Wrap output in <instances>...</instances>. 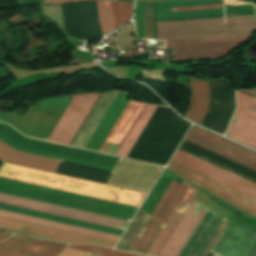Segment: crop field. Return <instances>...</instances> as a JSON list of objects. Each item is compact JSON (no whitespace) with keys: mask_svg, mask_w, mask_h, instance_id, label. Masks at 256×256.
<instances>
[{"mask_svg":"<svg viewBox=\"0 0 256 256\" xmlns=\"http://www.w3.org/2000/svg\"><path fill=\"white\" fill-rule=\"evenodd\" d=\"M226 3H246L225 0ZM223 0L157 1V12L178 10V6L216 4ZM225 3L226 16L256 14L251 3ZM223 4L186 6L179 10L222 8ZM224 16L223 9L157 13V21ZM256 15L204 18L157 22L158 39L173 40L209 36L253 33ZM251 34L167 41L166 47L176 48V60L223 57L227 52L248 40Z\"/></svg>","mask_w":256,"mask_h":256,"instance_id":"obj_1","label":"crop field"},{"mask_svg":"<svg viewBox=\"0 0 256 256\" xmlns=\"http://www.w3.org/2000/svg\"><path fill=\"white\" fill-rule=\"evenodd\" d=\"M0 176L139 207L145 193L4 163ZM0 177V192L130 221L136 207Z\"/></svg>","mask_w":256,"mask_h":256,"instance_id":"obj_2","label":"crop field"},{"mask_svg":"<svg viewBox=\"0 0 256 256\" xmlns=\"http://www.w3.org/2000/svg\"><path fill=\"white\" fill-rule=\"evenodd\" d=\"M0 139L24 152L115 172L121 159L60 145L28 139L9 125L0 124ZM0 140V159L55 172L59 160L20 152Z\"/></svg>","mask_w":256,"mask_h":256,"instance_id":"obj_3","label":"crop field"},{"mask_svg":"<svg viewBox=\"0 0 256 256\" xmlns=\"http://www.w3.org/2000/svg\"><path fill=\"white\" fill-rule=\"evenodd\" d=\"M188 187L189 186L183 182L181 185H179L171 181L162 198L153 210L152 217L167 221ZM197 191L198 190L190 185L189 189L187 190L186 194L182 198L181 202L177 206L176 210L166 225V221L151 218L150 214L140 209L136 218L118 245L117 249L130 251L131 247L133 246L134 242L136 241L137 237L139 236L140 232L150 217L149 221L147 222L146 226L132 247L131 252L146 255L149 248L160 233L161 229L165 225L162 232L147 253V255L150 256H157Z\"/></svg>","mask_w":256,"mask_h":256,"instance_id":"obj_4","label":"crop field"},{"mask_svg":"<svg viewBox=\"0 0 256 256\" xmlns=\"http://www.w3.org/2000/svg\"><path fill=\"white\" fill-rule=\"evenodd\" d=\"M194 199L158 256H178L207 208ZM220 217L207 208L179 256H200Z\"/></svg>","mask_w":256,"mask_h":256,"instance_id":"obj_5","label":"crop field"},{"mask_svg":"<svg viewBox=\"0 0 256 256\" xmlns=\"http://www.w3.org/2000/svg\"><path fill=\"white\" fill-rule=\"evenodd\" d=\"M0 210L18 213V214H22V215H27V216H31V217H36V218H40V219L50 220V221L68 224V225H72V226L82 227V228L100 231V232H104V233L114 234V235H118V236H121V234L123 233L122 230H118V229L108 228V227H104V226H99V225L90 224V223H86V222L76 221V220H72V219H67V218H63V217L44 214V213H40V212H35V211L12 207V206L3 205V204H0ZM4 211H0L1 216H6V217H10V218L19 219V220L29 221V222L47 225V226H51V227L61 228V229H65V230H70V231L88 234V235H92V236L102 237V238L111 239V240H115V241H118V239H119L118 236H114V235L104 234V233H100V232H95V231L86 230V229H82V228L72 227V226H68V225H63V224L54 223V222H50V221L40 220V219L31 218V217L22 216V215L13 214V213H8V212H4Z\"/></svg>","mask_w":256,"mask_h":256,"instance_id":"obj_6","label":"crop field"},{"mask_svg":"<svg viewBox=\"0 0 256 256\" xmlns=\"http://www.w3.org/2000/svg\"><path fill=\"white\" fill-rule=\"evenodd\" d=\"M185 140L256 171V153L223 137L192 126Z\"/></svg>","mask_w":256,"mask_h":256,"instance_id":"obj_7","label":"crop field"},{"mask_svg":"<svg viewBox=\"0 0 256 256\" xmlns=\"http://www.w3.org/2000/svg\"><path fill=\"white\" fill-rule=\"evenodd\" d=\"M100 95H74L48 140L70 144Z\"/></svg>","mask_w":256,"mask_h":256,"instance_id":"obj_8","label":"crop field"},{"mask_svg":"<svg viewBox=\"0 0 256 256\" xmlns=\"http://www.w3.org/2000/svg\"><path fill=\"white\" fill-rule=\"evenodd\" d=\"M0 203L125 230L128 222L0 193Z\"/></svg>","mask_w":256,"mask_h":256,"instance_id":"obj_9","label":"crop field"},{"mask_svg":"<svg viewBox=\"0 0 256 256\" xmlns=\"http://www.w3.org/2000/svg\"><path fill=\"white\" fill-rule=\"evenodd\" d=\"M221 199L256 215V199L170 161L168 167Z\"/></svg>","mask_w":256,"mask_h":256,"instance_id":"obj_10","label":"crop field"},{"mask_svg":"<svg viewBox=\"0 0 256 256\" xmlns=\"http://www.w3.org/2000/svg\"><path fill=\"white\" fill-rule=\"evenodd\" d=\"M0 228L67 242L71 244L79 243H97L110 248L116 244L115 241L106 240L102 238L92 237L61 229L51 228L29 222L19 221L0 216Z\"/></svg>","mask_w":256,"mask_h":256,"instance_id":"obj_11","label":"crop field"},{"mask_svg":"<svg viewBox=\"0 0 256 256\" xmlns=\"http://www.w3.org/2000/svg\"><path fill=\"white\" fill-rule=\"evenodd\" d=\"M172 161L256 198V184L177 149Z\"/></svg>","mask_w":256,"mask_h":256,"instance_id":"obj_12","label":"crop field"},{"mask_svg":"<svg viewBox=\"0 0 256 256\" xmlns=\"http://www.w3.org/2000/svg\"><path fill=\"white\" fill-rule=\"evenodd\" d=\"M66 244L13 235L0 243V256H58Z\"/></svg>","mask_w":256,"mask_h":256,"instance_id":"obj_13","label":"crop field"},{"mask_svg":"<svg viewBox=\"0 0 256 256\" xmlns=\"http://www.w3.org/2000/svg\"><path fill=\"white\" fill-rule=\"evenodd\" d=\"M144 107V104L129 102L99 151L115 155Z\"/></svg>","mask_w":256,"mask_h":256,"instance_id":"obj_14","label":"crop field"},{"mask_svg":"<svg viewBox=\"0 0 256 256\" xmlns=\"http://www.w3.org/2000/svg\"><path fill=\"white\" fill-rule=\"evenodd\" d=\"M101 34L106 35L108 32L124 25L131 17V7L132 2H121V1H111L112 11L110 1H96Z\"/></svg>","mask_w":256,"mask_h":256,"instance_id":"obj_15","label":"crop field"},{"mask_svg":"<svg viewBox=\"0 0 256 256\" xmlns=\"http://www.w3.org/2000/svg\"><path fill=\"white\" fill-rule=\"evenodd\" d=\"M128 96L129 95L126 93L119 92L116 99L114 100L111 107L104 116L103 120L96 129L95 133L88 142L86 146L87 149L98 151L101 144L103 143V141L109 134L110 130L116 123L117 119L119 118V116L125 109L126 105L128 104Z\"/></svg>","mask_w":256,"mask_h":256,"instance_id":"obj_16","label":"crop field"},{"mask_svg":"<svg viewBox=\"0 0 256 256\" xmlns=\"http://www.w3.org/2000/svg\"><path fill=\"white\" fill-rule=\"evenodd\" d=\"M225 136L256 149V119L237 111Z\"/></svg>","mask_w":256,"mask_h":256,"instance_id":"obj_17","label":"crop field"},{"mask_svg":"<svg viewBox=\"0 0 256 256\" xmlns=\"http://www.w3.org/2000/svg\"><path fill=\"white\" fill-rule=\"evenodd\" d=\"M191 104L186 118L202 124L210 95L211 81H198L190 79Z\"/></svg>","mask_w":256,"mask_h":256,"instance_id":"obj_18","label":"crop field"},{"mask_svg":"<svg viewBox=\"0 0 256 256\" xmlns=\"http://www.w3.org/2000/svg\"><path fill=\"white\" fill-rule=\"evenodd\" d=\"M157 106H152V105H146L144 108L143 112L139 116L138 120L134 124L133 128L129 132L128 136L124 140L123 144L119 148L118 152L116 153L117 156H123L126 157L128 154L129 150L133 146L134 142L138 138L139 134L145 127L146 123L150 119L151 115L155 111Z\"/></svg>","mask_w":256,"mask_h":256,"instance_id":"obj_19","label":"crop field"},{"mask_svg":"<svg viewBox=\"0 0 256 256\" xmlns=\"http://www.w3.org/2000/svg\"><path fill=\"white\" fill-rule=\"evenodd\" d=\"M68 247L102 256H140L124 252L113 251L96 245H69Z\"/></svg>","mask_w":256,"mask_h":256,"instance_id":"obj_20","label":"crop field"},{"mask_svg":"<svg viewBox=\"0 0 256 256\" xmlns=\"http://www.w3.org/2000/svg\"><path fill=\"white\" fill-rule=\"evenodd\" d=\"M238 111L256 118V99L237 91Z\"/></svg>","mask_w":256,"mask_h":256,"instance_id":"obj_21","label":"crop field"},{"mask_svg":"<svg viewBox=\"0 0 256 256\" xmlns=\"http://www.w3.org/2000/svg\"><path fill=\"white\" fill-rule=\"evenodd\" d=\"M86 254L87 253L70 250L66 248L60 256H86Z\"/></svg>","mask_w":256,"mask_h":256,"instance_id":"obj_22","label":"crop field"},{"mask_svg":"<svg viewBox=\"0 0 256 256\" xmlns=\"http://www.w3.org/2000/svg\"><path fill=\"white\" fill-rule=\"evenodd\" d=\"M246 256H256V241L253 244V246L251 247V249L249 250V252L247 253Z\"/></svg>","mask_w":256,"mask_h":256,"instance_id":"obj_23","label":"crop field"},{"mask_svg":"<svg viewBox=\"0 0 256 256\" xmlns=\"http://www.w3.org/2000/svg\"><path fill=\"white\" fill-rule=\"evenodd\" d=\"M19 1H21V0H19ZM45 1H46V3H52V2L78 1V0H45ZM45 1L41 0L42 4H44Z\"/></svg>","mask_w":256,"mask_h":256,"instance_id":"obj_24","label":"crop field"},{"mask_svg":"<svg viewBox=\"0 0 256 256\" xmlns=\"http://www.w3.org/2000/svg\"><path fill=\"white\" fill-rule=\"evenodd\" d=\"M12 234H8V233H5V232H1L0 231V242L7 239L9 236H11Z\"/></svg>","mask_w":256,"mask_h":256,"instance_id":"obj_25","label":"crop field"},{"mask_svg":"<svg viewBox=\"0 0 256 256\" xmlns=\"http://www.w3.org/2000/svg\"><path fill=\"white\" fill-rule=\"evenodd\" d=\"M152 10H153V30H154V39H155L154 1H152Z\"/></svg>","mask_w":256,"mask_h":256,"instance_id":"obj_26","label":"crop field"},{"mask_svg":"<svg viewBox=\"0 0 256 256\" xmlns=\"http://www.w3.org/2000/svg\"><path fill=\"white\" fill-rule=\"evenodd\" d=\"M241 91H243V92H245V93H248V94H250V95L256 97V91H250V90H241Z\"/></svg>","mask_w":256,"mask_h":256,"instance_id":"obj_27","label":"crop field"},{"mask_svg":"<svg viewBox=\"0 0 256 256\" xmlns=\"http://www.w3.org/2000/svg\"><path fill=\"white\" fill-rule=\"evenodd\" d=\"M88 256H97V255H94V254H90V253H89Z\"/></svg>","mask_w":256,"mask_h":256,"instance_id":"obj_28","label":"crop field"}]
</instances>
